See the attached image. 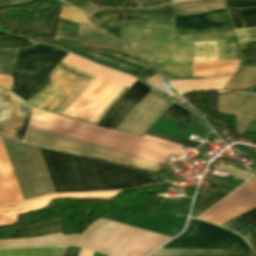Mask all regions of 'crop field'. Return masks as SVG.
<instances>
[{"instance_id": "crop-field-12", "label": "crop field", "mask_w": 256, "mask_h": 256, "mask_svg": "<svg viewBox=\"0 0 256 256\" xmlns=\"http://www.w3.org/2000/svg\"><path fill=\"white\" fill-rule=\"evenodd\" d=\"M217 41L218 61L239 59L233 30L207 32H174L173 43Z\"/></svg>"}, {"instance_id": "crop-field-39", "label": "crop field", "mask_w": 256, "mask_h": 256, "mask_svg": "<svg viewBox=\"0 0 256 256\" xmlns=\"http://www.w3.org/2000/svg\"><path fill=\"white\" fill-rule=\"evenodd\" d=\"M236 33L239 42L256 41V29L236 31Z\"/></svg>"}, {"instance_id": "crop-field-10", "label": "crop field", "mask_w": 256, "mask_h": 256, "mask_svg": "<svg viewBox=\"0 0 256 256\" xmlns=\"http://www.w3.org/2000/svg\"><path fill=\"white\" fill-rule=\"evenodd\" d=\"M31 111L32 108L20 99L2 91L0 96V136L23 140Z\"/></svg>"}, {"instance_id": "crop-field-20", "label": "crop field", "mask_w": 256, "mask_h": 256, "mask_svg": "<svg viewBox=\"0 0 256 256\" xmlns=\"http://www.w3.org/2000/svg\"><path fill=\"white\" fill-rule=\"evenodd\" d=\"M151 256H255L251 250L159 249Z\"/></svg>"}, {"instance_id": "crop-field-17", "label": "crop field", "mask_w": 256, "mask_h": 256, "mask_svg": "<svg viewBox=\"0 0 256 256\" xmlns=\"http://www.w3.org/2000/svg\"><path fill=\"white\" fill-rule=\"evenodd\" d=\"M0 184L8 204L23 200L1 138Z\"/></svg>"}, {"instance_id": "crop-field-5", "label": "crop field", "mask_w": 256, "mask_h": 256, "mask_svg": "<svg viewBox=\"0 0 256 256\" xmlns=\"http://www.w3.org/2000/svg\"><path fill=\"white\" fill-rule=\"evenodd\" d=\"M150 89L137 80L97 126L115 128ZM171 103L151 89L114 130L141 137Z\"/></svg>"}, {"instance_id": "crop-field-44", "label": "crop field", "mask_w": 256, "mask_h": 256, "mask_svg": "<svg viewBox=\"0 0 256 256\" xmlns=\"http://www.w3.org/2000/svg\"><path fill=\"white\" fill-rule=\"evenodd\" d=\"M81 248L67 247L63 256H78Z\"/></svg>"}, {"instance_id": "crop-field-3", "label": "crop field", "mask_w": 256, "mask_h": 256, "mask_svg": "<svg viewBox=\"0 0 256 256\" xmlns=\"http://www.w3.org/2000/svg\"><path fill=\"white\" fill-rule=\"evenodd\" d=\"M105 29L128 45L130 55L158 67L168 81L191 78L193 44H172V26Z\"/></svg>"}, {"instance_id": "crop-field-47", "label": "crop field", "mask_w": 256, "mask_h": 256, "mask_svg": "<svg viewBox=\"0 0 256 256\" xmlns=\"http://www.w3.org/2000/svg\"><path fill=\"white\" fill-rule=\"evenodd\" d=\"M93 251L90 250H86V249H81L79 256H92L93 255Z\"/></svg>"}, {"instance_id": "crop-field-24", "label": "crop field", "mask_w": 256, "mask_h": 256, "mask_svg": "<svg viewBox=\"0 0 256 256\" xmlns=\"http://www.w3.org/2000/svg\"><path fill=\"white\" fill-rule=\"evenodd\" d=\"M238 63H239V60L223 61V62L193 63L192 71L233 68V67H238ZM234 69L194 72V76L232 73ZM192 75H193V72H192ZM226 75H231V74H226ZM214 76H222V75H214ZM207 77H210V76H207Z\"/></svg>"}, {"instance_id": "crop-field-53", "label": "crop field", "mask_w": 256, "mask_h": 256, "mask_svg": "<svg viewBox=\"0 0 256 256\" xmlns=\"http://www.w3.org/2000/svg\"><path fill=\"white\" fill-rule=\"evenodd\" d=\"M255 93H256V91H255Z\"/></svg>"}, {"instance_id": "crop-field-38", "label": "crop field", "mask_w": 256, "mask_h": 256, "mask_svg": "<svg viewBox=\"0 0 256 256\" xmlns=\"http://www.w3.org/2000/svg\"><path fill=\"white\" fill-rule=\"evenodd\" d=\"M229 8L244 7L251 8L256 7V0H226Z\"/></svg>"}, {"instance_id": "crop-field-7", "label": "crop field", "mask_w": 256, "mask_h": 256, "mask_svg": "<svg viewBox=\"0 0 256 256\" xmlns=\"http://www.w3.org/2000/svg\"><path fill=\"white\" fill-rule=\"evenodd\" d=\"M30 126L146 158L160 163H165L169 157V153L154 150L130 142L122 141L105 135L97 134L80 128L72 127L48 119L40 118L37 116L31 117Z\"/></svg>"}, {"instance_id": "crop-field-26", "label": "crop field", "mask_w": 256, "mask_h": 256, "mask_svg": "<svg viewBox=\"0 0 256 256\" xmlns=\"http://www.w3.org/2000/svg\"><path fill=\"white\" fill-rule=\"evenodd\" d=\"M235 29L256 27V8L229 9Z\"/></svg>"}, {"instance_id": "crop-field-41", "label": "crop field", "mask_w": 256, "mask_h": 256, "mask_svg": "<svg viewBox=\"0 0 256 256\" xmlns=\"http://www.w3.org/2000/svg\"><path fill=\"white\" fill-rule=\"evenodd\" d=\"M219 170L221 171H225V172H228V173H231L235 176H238L244 180H247L249 177H251L252 175L249 174V173H246V172H242V171H239L235 168H231V167H227L223 164H221V166L218 168Z\"/></svg>"}, {"instance_id": "crop-field-42", "label": "crop field", "mask_w": 256, "mask_h": 256, "mask_svg": "<svg viewBox=\"0 0 256 256\" xmlns=\"http://www.w3.org/2000/svg\"><path fill=\"white\" fill-rule=\"evenodd\" d=\"M142 138L150 140V141H154V142H157V143H161V144H164V145H167V146H171V147H174V148H178V149H180L182 147L181 145L174 144V143H171V142H167V141L160 140V139L153 138V137L146 136V135H144Z\"/></svg>"}, {"instance_id": "crop-field-23", "label": "crop field", "mask_w": 256, "mask_h": 256, "mask_svg": "<svg viewBox=\"0 0 256 256\" xmlns=\"http://www.w3.org/2000/svg\"><path fill=\"white\" fill-rule=\"evenodd\" d=\"M224 7L223 0H204L174 4V15H189Z\"/></svg>"}, {"instance_id": "crop-field-48", "label": "crop field", "mask_w": 256, "mask_h": 256, "mask_svg": "<svg viewBox=\"0 0 256 256\" xmlns=\"http://www.w3.org/2000/svg\"><path fill=\"white\" fill-rule=\"evenodd\" d=\"M22 0H0V6L6 5V4H15Z\"/></svg>"}, {"instance_id": "crop-field-29", "label": "crop field", "mask_w": 256, "mask_h": 256, "mask_svg": "<svg viewBox=\"0 0 256 256\" xmlns=\"http://www.w3.org/2000/svg\"><path fill=\"white\" fill-rule=\"evenodd\" d=\"M56 42L80 47V48H96V49H103V50H113V51H118L122 52L128 55L126 51V47H119V46H109V45H103L99 43H94V42H88L84 40H77V39H70V38H64V37H56L55 39Z\"/></svg>"}, {"instance_id": "crop-field-50", "label": "crop field", "mask_w": 256, "mask_h": 256, "mask_svg": "<svg viewBox=\"0 0 256 256\" xmlns=\"http://www.w3.org/2000/svg\"><path fill=\"white\" fill-rule=\"evenodd\" d=\"M1 189V188H0ZM2 191V190H1ZM3 194V193H2ZM2 194H1V192H0V204H4L5 202H4V200H3V197H4V195H3V197H2ZM5 199V198H4ZM7 204V203H6ZM5 205V204H4ZM1 206V205H0Z\"/></svg>"}, {"instance_id": "crop-field-31", "label": "crop field", "mask_w": 256, "mask_h": 256, "mask_svg": "<svg viewBox=\"0 0 256 256\" xmlns=\"http://www.w3.org/2000/svg\"><path fill=\"white\" fill-rule=\"evenodd\" d=\"M58 248L0 250V256H55Z\"/></svg>"}, {"instance_id": "crop-field-13", "label": "crop field", "mask_w": 256, "mask_h": 256, "mask_svg": "<svg viewBox=\"0 0 256 256\" xmlns=\"http://www.w3.org/2000/svg\"><path fill=\"white\" fill-rule=\"evenodd\" d=\"M217 112L236 115V130L237 133L242 134L256 113V95L243 93L218 95Z\"/></svg>"}, {"instance_id": "crop-field-15", "label": "crop field", "mask_w": 256, "mask_h": 256, "mask_svg": "<svg viewBox=\"0 0 256 256\" xmlns=\"http://www.w3.org/2000/svg\"><path fill=\"white\" fill-rule=\"evenodd\" d=\"M174 31L233 29L227 9L190 16H174Z\"/></svg>"}, {"instance_id": "crop-field-30", "label": "crop field", "mask_w": 256, "mask_h": 256, "mask_svg": "<svg viewBox=\"0 0 256 256\" xmlns=\"http://www.w3.org/2000/svg\"><path fill=\"white\" fill-rule=\"evenodd\" d=\"M228 193H225L223 191L203 186L202 192H201V208L199 215L204 212L206 209L211 207L213 204L218 202L220 199L225 197Z\"/></svg>"}, {"instance_id": "crop-field-28", "label": "crop field", "mask_w": 256, "mask_h": 256, "mask_svg": "<svg viewBox=\"0 0 256 256\" xmlns=\"http://www.w3.org/2000/svg\"><path fill=\"white\" fill-rule=\"evenodd\" d=\"M217 61L216 42L194 44L193 62Z\"/></svg>"}, {"instance_id": "crop-field-40", "label": "crop field", "mask_w": 256, "mask_h": 256, "mask_svg": "<svg viewBox=\"0 0 256 256\" xmlns=\"http://www.w3.org/2000/svg\"><path fill=\"white\" fill-rule=\"evenodd\" d=\"M137 2V8H147L160 4L172 2V0H135Z\"/></svg>"}, {"instance_id": "crop-field-18", "label": "crop field", "mask_w": 256, "mask_h": 256, "mask_svg": "<svg viewBox=\"0 0 256 256\" xmlns=\"http://www.w3.org/2000/svg\"><path fill=\"white\" fill-rule=\"evenodd\" d=\"M78 235L61 236L60 233L40 238L0 241V248L74 245Z\"/></svg>"}, {"instance_id": "crop-field-45", "label": "crop field", "mask_w": 256, "mask_h": 256, "mask_svg": "<svg viewBox=\"0 0 256 256\" xmlns=\"http://www.w3.org/2000/svg\"><path fill=\"white\" fill-rule=\"evenodd\" d=\"M240 66H256V58L241 59Z\"/></svg>"}, {"instance_id": "crop-field-32", "label": "crop field", "mask_w": 256, "mask_h": 256, "mask_svg": "<svg viewBox=\"0 0 256 256\" xmlns=\"http://www.w3.org/2000/svg\"><path fill=\"white\" fill-rule=\"evenodd\" d=\"M18 51H0V74H12Z\"/></svg>"}, {"instance_id": "crop-field-22", "label": "crop field", "mask_w": 256, "mask_h": 256, "mask_svg": "<svg viewBox=\"0 0 256 256\" xmlns=\"http://www.w3.org/2000/svg\"><path fill=\"white\" fill-rule=\"evenodd\" d=\"M225 90L254 93L256 90V67H239Z\"/></svg>"}, {"instance_id": "crop-field-25", "label": "crop field", "mask_w": 256, "mask_h": 256, "mask_svg": "<svg viewBox=\"0 0 256 256\" xmlns=\"http://www.w3.org/2000/svg\"><path fill=\"white\" fill-rule=\"evenodd\" d=\"M105 31L94 26L80 25L77 38L110 45L123 46L119 41L109 37Z\"/></svg>"}, {"instance_id": "crop-field-16", "label": "crop field", "mask_w": 256, "mask_h": 256, "mask_svg": "<svg viewBox=\"0 0 256 256\" xmlns=\"http://www.w3.org/2000/svg\"><path fill=\"white\" fill-rule=\"evenodd\" d=\"M67 52L58 49L34 76L13 72L14 86L12 93L27 100L29 95L42 83L46 75L62 60Z\"/></svg>"}, {"instance_id": "crop-field-9", "label": "crop field", "mask_w": 256, "mask_h": 256, "mask_svg": "<svg viewBox=\"0 0 256 256\" xmlns=\"http://www.w3.org/2000/svg\"><path fill=\"white\" fill-rule=\"evenodd\" d=\"M254 207H256V181L252 179L198 218L220 225Z\"/></svg>"}, {"instance_id": "crop-field-11", "label": "crop field", "mask_w": 256, "mask_h": 256, "mask_svg": "<svg viewBox=\"0 0 256 256\" xmlns=\"http://www.w3.org/2000/svg\"><path fill=\"white\" fill-rule=\"evenodd\" d=\"M64 48H67L71 51H74L76 53H79L81 55H84L86 57H89L93 60H96L98 62L113 66L115 68L133 73L135 75H137L139 78L141 79H146L148 77H150L151 75L157 73V71L150 67L147 64H142L139 61H135V60H131V59H124L122 55L120 54H116V53H108V52H101V51H88L86 53L63 46ZM147 83H149L150 85H152L153 87L157 88L158 90H160L161 92H163L164 94L170 96V97H174L176 96V94L173 92H169L168 89L163 85L162 82H164V80L162 79V77L157 73L153 76H151L150 78L144 80ZM161 83L162 86L166 89L167 92H165L159 85L158 83ZM167 84V83H166ZM168 85V84H167Z\"/></svg>"}, {"instance_id": "crop-field-43", "label": "crop field", "mask_w": 256, "mask_h": 256, "mask_svg": "<svg viewBox=\"0 0 256 256\" xmlns=\"http://www.w3.org/2000/svg\"><path fill=\"white\" fill-rule=\"evenodd\" d=\"M241 58L256 57V48L240 49Z\"/></svg>"}, {"instance_id": "crop-field-51", "label": "crop field", "mask_w": 256, "mask_h": 256, "mask_svg": "<svg viewBox=\"0 0 256 256\" xmlns=\"http://www.w3.org/2000/svg\"><path fill=\"white\" fill-rule=\"evenodd\" d=\"M175 2H179V1H185V0H174Z\"/></svg>"}, {"instance_id": "crop-field-33", "label": "crop field", "mask_w": 256, "mask_h": 256, "mask_svg": "<svg viewBox=\"0 0 256 256\" xmlns=\"http://www.w3.org/2000/svg\"><path fill=\"white\" fill-rule=\"evenodd\" d=\"M59 18L72 21L75 23L94 25L87 19V17L84 14H82L80 11L73 8L62 7V11L60 13Z\"/></svg>"}, {"instance_id": "crop-field-46", "label": "crop field", "mask_w": 256, "mask_h": 256, "mask_svg": "<svg viewBox=\"0 0 256 256\" xmlns=\"http://www.w3.org/2000/svg\"><path fill=\"white\" fill-rule=\"evenodd\" d=\"M240 48H247V47H256V42H245V43H239Z\"/></svg>"}, {"instance_id": "crop-field-6", "label": "crop field", "mask_w": 256, "mask_h": 256, "mask_svg": "<svg viewBox=\"0 0 256 256\" xmlns=\"http://www.w3.org/2000/svg\"><path fill=\"white\" fill-rule=\"evenodd\" d=\"M25 142L51 147L63 151L89 155L157 172L163 169L158 167L160 164L156 162L124 154L30 126L28 127Z\"/></svg>"}, {"instance_id": "crop-field-36", "label": "crop field", "mask_w": 256, "mask_h": 256, "mask_svg": "<svg viewBox=\"0 0 256 256\" xmlns=\"http://www.w3.org/2000/svg\"><path fill=\"white\" fill-rule=\"evenodd\" d=\"M81 10L86 12L87 14H90L100 8L92 5L91 3L97 0H87V1H77V0H63Z\"/></svg>"}, {"instance_id": "crop-field-37", "label": "crop field", "mask_w": 256, "mask_h": 256, "mask_svg": "<svg viewBox=\"0 0 256 256\" xmlns=\"http://www.w3.org/2000/svg\"><path fill=\"white\" fill-rule=\"evenodd\" d=\"M237 234L241 235L256 253V232L248 227Z\"/></svg>"}, {"instance_id": "crop-field-21", "label": "crop field", "mask_w": 256, "mask_h": 256, "mask_svg": "<svg viewBox=\"0 0 256 256\" xmlns=\"http://www.w3.org/2000/svg\"><path fill=\"white\" fill-rule=\"evenodd\" d=\"M230 77H211L201 80H182L170 83L178 93L183 94L195 90L222 89Z\"/></svg>"}, {"instance_id": "crop-field-19", "label": "crop field", "mask_w": 256, "mask_h": 256, "mask_svg": "<svg viewBox=\"0 0 256 256\" xmlns=\"http://www.w3.org/2000/svg\"><path fill=\"white\" fill-rule=\"evenodd\" d=\"M56 50L51 46L41 44H36L29 49L20 50L15 67L35 71Z\"/></svg>"}, {"instance_id": "crop-field-34", "label": "crop field", "mask_w": 256, "mask_h": 256, "mask_svg": "<svg viewBox=\"0 0 256 256\" xmlns=\"http://www.w3.org/2000/svg\"><path fill=\"white\" fill-rule=\"evenodd\" d=\"M146 135H150V136L157 137V138H160V139L168 140V141L175 142V143H178V144H182V145L192 147V148H194V147H196L200 144V143H196V142H193V141H189V140H186V139H182V138H179V137H175V136L165 134V133H162V132H158V131H155V130H151V129L148 130Z\"/></svg>"}, {"instance_id": "crop-field-14", "label": "crop field", "mask_w": 256, "mask_h": 256, "mask_svg": "<svg viewBox=\"0 0 256 256\" xmlns=\"http://www.w3.org/2000/svg\"><path fill=\"white\" fill-rule=\"evenodd\" d=\"M133 11H140L148 14L154 15H172V4L148 9V10H133ZM132 10H121V9H101L91 15L93 20H95L98 24L104 21L109 17H116L122 15H139L144 16L147 18L141 19H132V20H125V21H118V22H107V27H114V26H129V25H152V24H162V25H171L172 17H162V16H150V15H141L134 13Z\"/></svg>"}, {"instance_id": "crop-field-4", "label": "crop field", "mask_w": 256, "mask_h": 256, "mask_svg": "<svg viewBox=\"0 0 256 256\" xmlns=\"http://www.w3.org/2000/svg\"><path fill=\"white\" fill-rule=\"evenodd\" d=\"M169 239L171 237L99 219L83 232L76 245L111 256H147Z\"/></svg>"}, {"instance_id": "crop-field-8", "label": "crop field", "mask_w": 256, "mask_h": 256, "mask_svg": "<svg viewBox=\"0 0 256 256\" xmlns=\"http://www.w3.org/2000/svg\"><path fill=\"white\" fill-rule=\"evenodd\" d=\"M162 248L248 249L233 233L196 220Z\"/></svg>"}, {"instance_id": "crop-field-2", "label": "crop field", "mask_w": 256, "mask_h": 256, "mask_svg": "<svg viewBox=\"0 0 256 256\" xmlns=\"http://www.w3.org/2000/svg\"><path fill=\"white\" fill-rule=\"evenodd\" d=\"M62 61L90 74L126 86L128 88H130L136 81V79L128 75L105 68L72 54H68ZM63 62H61L60 65L92 79L95 78V76L78 70ZM98 77L92 81V79L80 76L57 65L51 73L50 83L45 88L41 89L32 98H30L27 103L35 109L61 115V113L70 105V103L92 81L63 112V115L92 122L123 88V86L114 84ZM128 88L124 87L92 123H87L95 125L128 90Z\"/></svg>"}, {"instance_id": "crop-field-35", "label": "crop field", "mask_w": 256, "mask_h": 256, "mask_svg": "<svg viewBox=\"0 0 256 256\" xmlns=\"http://www.w3.org/2000/svg\"><path fill=\"white\" fill-rule=\"evenodd\" d=\"M191 112L184 109L183 107L173 104L164 114L163 116L170 117L176 120L184 121V122H191L192 119L188 118L187 116L190 115Z\"/></svg>"}, {"instance_id": "crop-field-1", "label": "crop field", "mask_w": 256, "mask_h": 256, "mask_svg": "<svg viewBox=\"0 0 256 256\" xmlns=\"http://www.w3.org/2000/svg\"><path fill=\"white\" fill-rule=\"evenodd\" d=\"M3 139L23 198L49 192L118 190L162 179L77 156L41 150Z\"/></svg>"}, {"instance_id": "crop-field-49", "label": "crop field", "mask_w": 256, "mask_h": 256, "mask_svg": "<svg viewBox=\"0 0 256 256\" xmlns=\"http://www.w3.org/2000/svg\"><path fill=\"white\" fill-rule=\"evenodd\" d=\"M66 247L59 248L56 256H62Z\"/></svg>"}, {"instance_id": "crop-field-52", "label": "crop field", "mask_w": 256, "mask_h": 256, "mask_svg": "<svg viewBox=\"0 0 256 256\" xmlns=\"http://www.w3.org/2000/svg\"><path fill=\"white\" fill-rule=\"evenodd\" d=\"M254 120H256V115L254 116V118H253Z\"/></svg>"}, {"instance_id": "crop-field-27", "label": "crop field", "mask_w": 256, "mask_h": 256, "mask_svg": "<svg viewBox=\"0 0 256 256\" xmlns=\"http://www.w3.org/2000/svg\"><path fill=\"white\" fill-rule=\"evenodd\" d=\"M241 217L246 220L252 227L256 229V208L241 215ZM240 216L220 225L227 228L233 232H238L248 226H250L246 221H244Z\"/></svg>"}]
</instances>
